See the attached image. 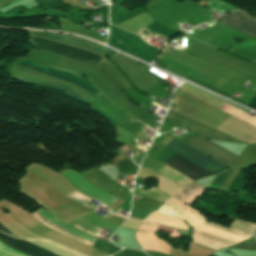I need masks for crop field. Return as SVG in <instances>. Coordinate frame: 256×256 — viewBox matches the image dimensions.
<instances>
[{
	"instance_id": "8a807250",
	"label": "crop field",
	"mask_w": 256,
	"mask_h": 256,
	"mask_svg": "<svg viewBox=\"0 0 256 256\" xmlns=\"http://www.w3.org/2000/svg\"><path fill=\"white\" fill-rule=\"evenodd\" d=\"M168 202L172 203L173 205L177 206L178 208L182 209L183 211L189 213L190 215L194 216L195 218L199 219L200 221L205 222L200 213H198L195 210L191 209L190 207L186 206L185 204L178 201L177 199L172 197ZM168 202L165 203L163 207L167 208L168 210L175 213L179 217L183 218L187 222L191 223L194 226L204 224V223L200 222L199 220L195 219L194 217L190 216L189 214H187V213L183 212L182 210L178 209L177 207L173 206L172 204L168 203ZM206 225H209V226H212V227L224 230V231H228V232H231V233H234V234L246 237V238H248L252 234L253 229L255 227L254 225H251L249 223H245V222H242V221H238V220H236L233 223L231 229L250 234V235H247V234H243V233H240V232H237V231H233V230H230V229H227V228H224V227H221V226L209 223V222H207ZM206 225L199 226V227H196V228H199V229H202V230L214 233V234H218V235H221V236H224V237H227V238L239 241V242H242V241L246 240V238H243V237H240V236L228 233V232H224V231H221V230H218V229L206 226Z\"/></svg>"
},
{
	"instance_id": "ac0d7876",
	"label": "crop field",
	"mask_w": 256,
	"mask_h": 256,
	"mask_svg": "<svg viewBox=\"0 0 256 256\" xmlns=\"http://www.w3.org/2000/svg\"><path fill=\"white\" fill-rule=\"evenodd\" d=\"M32 40H33L34 47L41 50L48 51V52L56 53L62 56L81 59V60H85L87 62H92V63H97L103 58L101 56H98L86 51L78 50L68 46L49 42L46 40H42L34 37H32Z\"/></svg>"
},
{
	"instance_id": "34b2d1b8",
	"label": "crop field",
	"mask_w": 256,
	"mask_h": 256,
	"mask_svg": "<svg viewBox=\"0 0 256 256\" xmlns=\"http://www.w3.org/2000/svg\"><path fill=\"white\" fill-rule=\"evenodd\" d=\"M166 147L175 150L176 152L180 153L190 161L200 165L201 167L215 174L220 173L227 168L223 164L202 155L201 153L189 148L188 146L174 139Z\"/></svg>"
},
{
	"instance_id": "412701ff",
	"label": "crop field",
	"mask_w": 256,
	"mask_h": 256,
	"mask_svg": "<svg viewBox=\"0 0 256 256\" xmlns=\"http://www.w3.org/2000/svg\"><path fill=\"white\" fill-rule=\"evenodd\" d=\"M21 62H24L26 64H29V65H32V66H36V67H39V68H42V69H45V70H48V71H52V72H55V73H58V74H61V75H64V76H67L69 78H72V79H75V80H78L82 83H85L87 84L90 88H92L97 94H101L99 92V90L95 87V85L85 79V78H82V77H79V76H76L74 74H71V73H68V72H64V71H60V70H57V69H53V68H50V67H47V66H43V65H40V64H37V63H34V62H31V61H28V60H25V59H22ZM19 62L18 65L20 66H23V67H26L28 69H31V70H34V71H37V72H40V73H43V74H47V75H50V76H53V77H56V78H59V79H62V80H65V81H69V82H72L82 88H84L85 90L97 95L93 90H91L87 85H84V84H81L75 80H72V79H69L67 77H64V76H61V75H58V74H55V73H51V72H48V71H45V70H42V69H39V68H35V67H32V66H29V65H26V64H23ZM97 95V96H99Z\"/></svg>"
},
{
	"instance_id": "f4fd0767",
	"label": "crop field",
	"mask_w": 256,
	"mask_h": 256,
	"mask_svg": "<svg viewBox=\"0 0 256 256\" xmlns=\"http://www.w3.org/2000/svg\"><path fill=\"white\" fill-rule=\"evenodd\" d=\"M37 211H38L39 213H41L45 218H47V219H49L50 221H52L53 223H55V224H57V225H59V226L65 228V229H67V230H69V231H71V232H74V233H76V234H78V235H80V236H82V237H84V238H86V239H88V240H90V241H92V242L95 241V238H93V237H91V236H89V235H87V234H85V233H83V232H81V231H79V230H77V229H75V228H73V227H71V226H69V225H67V224H65V223H63V222H61V221H59V220H57V219H55V218L52 217V216H50V215H49L47 212H45L42 208L39 209V210H37ZM37 211H36L35 213H33L32 215L35 216V217H36L40 222H42L44 225H46V226H48V227H50V228H52V229H54V230H56V231H58V232L64 234V235H66V236L72 237V238H74V239H77V240H79V241L85 243V244H88V245L93 246V243H92V242H90V241H88V240H86V239H84V238H82V237H80V236H78V235H76V234H74V233H71V232H69V231H67V230H65V229H63V228H61V227H59V226H57V225H55V224H53L52 222H50V221H48L47 219H45L42 215H40Z\"/></svg>"
},
{
	"instance_id": "dd49c442",
	"label": "crop field",
	"mask_w": 256,
	"mask_h": 256,
	"mask_svg": "<svg viewBox=\"0 0 256 256\" xmlns=\"http://www.w3.org/2000/svg\"><path fill=\"white\" fill-rule=\"evenodd\" d=\"M61 175L77 186L80 190L97 198L109 206L117 200V198L111 196L109 193L91 185L87 180L74 171L69 170Z\"/></svg>"
},
{
	"instance_id": "e52e79f7",
	"label": "crop field",
	"mask_w": 256,
	"mask_h": 256,
	"mask_svg": "<svg viewBox=\"0 0 256 256\" xmlns=\"http://www.w3.org/2000/svg\"><path fill=\"white\" fill-rule=\"evenodd\" d=\"M165 164L179 170L192 180L212 175L211 173L205 171L204 169L195 165L194 163L186 160L184 157L177 153L174 156H172L168 161H166Z\"/></svg>"
},
{
	"instance_id": "d8731c3e",
	"label": "crop field",
	"mask_w": 256,
	"mask_h": 256,
	"mask_svg": "<svg viewBox=\"0 0 256 256\" xmlns=\"http://www.w3.org/2000/svg\"><path fill=\"white\" fill-rule=\"evenodd\" d=\"M0 241H2L4 244H6L12 248L20 250L24 253L31 255V256H56V255H53L47 251H44L36 246L26 243L22 240H18L13 237L7 236L1 232H0Z\"/></svg>"
},
{
	"instance_id": "5a996713",
	"label": "crop field",
	"mask_w": 256,
	"mask_h": 256,
	"mask_svg": "<svg viewBox=\"0 0 256 256\" xmlns=\"http://www.w3.org/2000/svg\"><path fill=\"white\" fill-rule=\"evenodd\" d=\"M237 13L243 20L247 23L241 21L233 12L227 14L224 18L226 20L227 25L236 27L241 31L251 34L256 37V20L246 15L244 12H235ZM250 35V36H251ZM252 36V37H253ZM254 37V38H255Z\"/></svg>"
},
{
	"instance_id": "3316defc",
	"label": "crop field",
	"mask_w": 256,
	"mask_h": 256,
	"mask_svg": "<svg viewBox=\"0 0 256 256\" xmlns=\"http://www.w3.org/2000/svg\"><path fill=\"white\" fill-rule=\"evenodd\" d=\"M136 240L138 241L139 245L142 247L143 250H154V251H160L162 253L168 254L170 246L163 242L161 239L157 238L155 233H143V232H137L136 233ZM165 253V254H166Z\"/></svg>"
},
{
	"instance_id": "28ad6ade",
	"label": "crop field",
	"mask_w": 256,
	"mask_h": 256,
	"mask_svg": "<svg viewBox=\"0 0 256 256\" xmlns=\"http://www.w3.org/2000/svg\"><path fill=\"white\" fill-rule=\"evenodd\" d=\"M28 32L33 33V34H37V35H41V36H48V37L56 38L58 40L70 42V43L77 44V45H80V46H83V47H87V48H90V49L101 51V52H104V53L108 54L110 57L114 53V51H112L108 48H104V47L95 45L91 42H88V41H85V40H82V39H78V38H75V37H72V36L61 35V34H53V33L33 32V31H28Z\"/></svg>"
},
{
	"instance_id": "d1516ede",
	"label": "crop field",
	"mask_w": 256,
	"mask_h": 256,
	"mask_svg": "<svg viewBox=\"0 0 256 256\" xmlns=\"http://www.w3.org/2000/svg\"><path fill=\"white\" fill-rule=\"evenodd\" d=\"M195 236H196V237H199V238H202V239H205V240H208V241H212V242H215V243H218V244L227 246V247L232 246V245L238 243V242L231 241V240H228V239L219 237V236H215V235H212V234L203 232V231L196 230V229H195ZM196 237H195V240H196V241H199V242L208 244V245H210V246H213V247H216V248H219V249H221L222 247H224V246H221V245H218V244H215V243H211V242H208V241H205V240L196 238ZM196 241H195V243H198V244L207 246V245H205V244H202V243H199V242H196ZM210 246H208V247H210ZM213 247H211V248H213ZM216 248H214V249H216ZM219 249H217V250H219Z\"/></svg>"
},
{
	"instance_id": "22f410ed",
	"label": "crop field",
	"mask_w": 256,
	"mask_h": 256,
	"mask_svg": "<svg viewBox=\"0 0 256 256\" xmlns=\"http://www.w3.org/2000/svg\"><path fill=\"white\" fill-rule=\"evenodd\" d=\"M31 243H34L38 246H41L47 250H50L56 254H59L61 256H82L78 253H75L65 247H62L52 241H47V240H27Z\"/></svg>"
},
{
	"instance_id": "cbeb9de0",
	"label": "crop field",
	"mask_w": 256,
	"mask_h": 256,
	"mask_svg": "<svg viewBox=\"0 0 256 256\" xmlns=\"http://www.w3.org/2000/svg\"><path fill=\"white\" fill-rule=\"evenodd\" d=\"M161 175L173 180L177 184L181 186H186L189 183L193 182L188 177L184 176L183 174L179 173L178 171L164 165L159 171Z\"/></svg>"
},
{
	"instance_id": "5142ce71",
	"label": "crop field",
	"mask_w": 256,
	"mask_h": 256,
	"mask_svg": "<svg viewBox=\"0 0 256 256\" xmlns=\"http://www.w3.org/2000/svg\"><path fill=\"white\" fill-rule=\"evenodd\" d=\"M204 189L197 186L196 184H191L188 187L184 188L174 197L180 199L181 201L189 204L195 197H197Z\"/></svg>"
},
{
	"instance_id": "d9b57169",
	"label": "crop field",
	"mask_w": 256,
	"mask_h": 256,
	"mask_svg": "<svg viewBox=\"0 0 256 256\" xmlns=\"http://www.w3.org/2000/svg\"><path fill=\"white\" fill-rule=\"evenodd\" d=\"M146 220L151 221V222H155V223H160V224L172 226V227L185 229V230L188 229V227L185 225V223L183 221H181L179 219H175V218H170V217H165V216H161V215L152 214Z\"/></svg>"
},
{
	"instance_id": "733c2abd",
	"label": "crop field",
	"mask_w": 256,
	"mask_h": 256,
	"mask_svg": "<svg viewBox=\"0 0 256 256\" xmlns=\"http://www.w3.org/2000/svg\"><path fill=\"white\" fill-rule=\"evenodd\" d=\"M15 79H18L20 81H26V82H29V83H32V84H35V85H39V86H42V87H46V88H51V89H58V90H63V91H66V93L82 100V101H87L83 96L67 89L66 87L64 86H61V85H55V84H49V83H43V82H37V81H31V80H27V79H23V78H20V77H16L14 76Z\"/></svg>"
},
{
	"instance_id": "4a817a6b",
	"label": "crop field",
	"mask_w": 256,
	"mask_h": 256,
	"mask_svg": "<svg viewBox=\"0 0 256 256\" xmlns=\"http://www.w3.org/2000/svg\"><path fill=\"white\" fill-rule=\"evenodd\" d=\"M159 189L173 196L180 189H182V187H180L177 184L173 183L172 181L160 176L159 177Z\"/></svg>"
},
{
	"instance_id": "bc2a9ffb",
	"label": "crop field",
	"mask_w": 256,
	"mask_h": 256,
	"mask_svg": "<svg viewBox=\"0 0 256 256\" xmlns=\"http://www.w3.org/2000/svg\"><path fill=\"white\" fill-rule=\"evenodd\" d=\"M222 110H224V111H226V112H228V113H230V114H232V115H234V116H236V117H238V118L256 126V118H254V117H252L248 114H245L246 112L243 113L244 111L241 112V111H239V110H237V109H235V108H233L229 105L225 106Z\"/></svg>"
},
{
	"instance_id": "214f88e0",
	"label": "crop field",
	"mask_w": 256,
	"mask_h": 256,
	"mask_svg": "<svg viewBox=\"0 0 256 256\" xmlns=\"http://www.w3.org/2000/svg\"><path fill=\"white\" fill-rule=\"evenodd\" d=\"M140 193H142L148 197H151L163 204L172 197L158 189H152V190L144 191V192H140Z\"/></svg>"
},
{
	"instance_id": "92a150f3",
	"label": "crop field",
	"mask_w": 256,
	"mask_h": 256,
	"mask_svg": "<svg viewBox=\"0 0 256 256\" xmlns=\"http://www.w3.org/2000/svg\"><path fill=\"white\" fill-rule=\"evenodd\" d=\"M74 193H76V194H78V195H80V196H82V197H84V198H86V199L91 201V199H89V198H87V197H85V196H83V195H81V194H79L77 192H74ZM67 197H69L73 201H75V202H77V203H79V204H81V205H83V206H85V207H87V208H89L91 210H93L96 207V205L90 203L89 201H87V200H85V199H83V198H81V197H79V196H77V195H75L73 193L68 195Z\"/></svg>"
},
{
	"instance_id": "dafd665d",
	"label": "crop field",
	"mask_w": 256,
	"mask_h": 256,
	"mask_svg": "<svg viewBox=\"0 0 256 256\" xmlns=\"http://www.w3.org/2000/svg\"><path fill=\"white\" fill-rule=\"evenodd\" d=\"M229 173V171L217 175V177L214 179L212 184L210 185L211 188L217 189V187L220 185V183L223 181V179L226 177V175Z\"/></svg>"
},
{
	"instance_id": "00972430",
	"label": "crop field",
	"mask_w": 256,
	"mask_h": 256,
	"mask_svg": "<svg viewBox=\"0 0 256 256\" xmlns=\"http://www.w3.org/2000/svg\"><path fill=\"white\" fill-rule=\"evenodd\" d=\"M235 248L245 250H256V243H243Z\"/></svg>"
},
{
	"instance_id": "a9b5d70f",
	"label": "crop field",
	"mask_w": 256,
	"mask_h": 256,
	"mask_svg": "<svg viewBox=\"0 0 256 256\" xmlns=\"http://www.w3.org/2000/svg\"><path fill=\"white\" fill-rule=\"evenodd\" d=\"M155 227L153 226H148V225H144V224H141V226L139 227V230H142V231H153Z\"/></svg>"
},
{
	"instance_id": "4177f3b9",
	"label": "crop field",
	"mask_w": 256,
	"mask_h": 256,
	"mask_svg": "<svg viewBox=\"0 0 256 256\" xmlns=\"http://www.w3.org/2000/svg\"><path fill=\"white\" fill-rule=\"evenodd\" d=\"M0 231H3V232H5V233H7V234H9V235H11V236H14L12 233H10L6 228H4L2 225H0ZM14 237H16V236H14Z\"/></svg>"
},
{
	"instance_id": "730fd06b",
	"label": "crop field",
	"mask_w": 256,
	"mask_h": 256,
	"mask_svg": "<svg viewBox=\"0 0 256 256\" xmlns=\"http://www.w3.org/2000/svg\"><path fill=\"white\" fill-rule=\"evenodd\" d=\"M79 228V227H78ZM81 229V228H80ZM83 230V229H82ZM85 232H87V231H85ZM87 233H89V232H87ZM90 234H92V233H90ZM92 235H94V234H92ZM95 236V235H94Z\"/></svg>"
},
{
	"instance_id": "eef30255",
	"label": "crop field",
	"mask_w": 256,
	"mask_h": 256,
	"mask_svg": "<svg viewBox=\"0 0 256 256\" xmlns=\"http://www.w3.org/2000/svg\"><path fill=\"white\" fill-rule=\"evenodd\" d=\"M254 63H256V61H253Z\"/></svg>"
},
{
	"instance_id": "ae1a2a85",
	"label": "crop field",
	"mask_w": 256,
	"mask_h": 256,
	"mask_svg": "<svg viewBox=\"0 0 256 256\" xmlns=\"http://www.w3.org/2000/svg\"><path fill=\"white\" fill-rule=\"evenodd\" d=\"M214 256V255H213Z\"/></svg>"
}]
</instances>
